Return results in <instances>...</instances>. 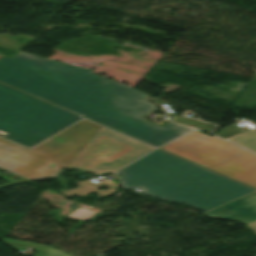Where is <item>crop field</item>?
I'll return each mask as SVG.
<instances>
[{
    "label": "crop field",
    "instance_id": "8",
    "mask_svg": "<svg viewBox=\"0 0 256 256\" xmlns=\"http://www.w3.org/2000/svg\"><path fill=\"white\" fill-rule=\"evenodd\" d=\"M207 217L236 221L245 225L256 221V191L208 210Z\"/></svg>",
    "mask_w": 256,
    "mask_h": 256
},
{
    "label": "crop field",
    "instance_id": "4",
    "mask_svg": "<svg viewBox=\"0 0 256 256\" xmlns=\"http://www.w3.org/2000/svg\"><path fill=\"white\" fill-rule=\"evenodd\" d=\"M81 118L0 84V136L3 138L32 147Z\"/></svg>",
    "mask_w": 256,
    "mask_h": 256
},
{
    "label": "crop field",
    "instance_id": "1",
    "mask_svg": "<svg viewBox=\"0 0 256 256\" xmlns=\"http://www.w3.org/2000/svg\"><path fill=\"white\" fill-rule=\"evenodd\" d=\"M91 71L23 52L11 60L0 58V82L155 147L191 129L147 121L144 116L159 109L145 101L147 94Z\"/></svg>",
    "mask_w": 256,
    "mask_h": 256
},
{
    "label": "crop field",
    "instance_id": "7",
    "mask_svg": "<svg viewBox=\"0 0 256 256\" xmlns=\"http://www.w3.org/2000/svg\"><path fill=\"white\" fill-rule=\"evenodd\" d=\"M101 134H103L107 137H110L114 140H117L119 142H122L126 145H129L135 149L118 157L117 159H115L114 161H112L110 163L102 162L87 171V172H90V173H93L96 175H99L103 172H112L113 173V172L117 171L118 169L122 168L123 166L127 165L128 163L132 162L133 160L139 158L140 156H142L145 153L154 149L148 145H145L141 142H138L134 139H131L127 136H124L122 134L116 133L114 131L108 130L103 127H101L99 129V131L88 142H92Z\"/></svg>",
    "mask_w": 256,
    "mask_h": 256
},
{
    "label": "crop field",
    "instance_id": "6",
    "mask_svg": "<svg viewBox=\"0 0 256 256\" xmlns=\"http://www.w3.org/2000/svg\"><path fill=\"white\" fill-rule=\"evenodd\" d=\"M131 149L101 135L92 143H86L67 167L86 171L102 161L110 162Z\"/></svg>",
    "mask_w": 256,
    "mask_h": 256
},
{
    "label": "crop field",
    "instance_id": "2",
    "mask_svg": "<svg viewBox=\"0 0 256 256\" xmlns=\"http://www.w3.org/2000/svg\"><path fill=\"white\" fill-rule=\"evenodd\" d=\"M116 174L123 176L124 187L203 211L255 191L159 149Z\"/></svg>",
    "mask_w": 256,
    "mask_h": 256
},
{
    "label": "crop field",
    "instance_id": "13",
    "mask_svg": "<svg viewBox=\"0 0 256 256\" xmlns=\"http://www.w3.org/2000/svg\"><path fill=\"white\" fill-rule=\"evenodd\" d=\"M3 55L0 54V57H2Z\"/></svg>",
    "mask_w": 256,
    "mask_h": 256
},
{
    "label": "crop field",
    "instance_id": "12",
    "mask_svg": "<svg viewBox=\"0 0 256 256\" xmlns=\"http://www.w3.org/2000/svg\"><path fill=\"white\" fill-rule=\"evenodd\" d=\"M248 226L256 232V222Z\"/></svg>",
    "mask_w": 256,
    "mask_h": 256
},
{
    "label": "crop field",
    "instance_id": "5",
    "mask_svg": "<svg viewBox=\"0 0 256 256\" xmlns=\"http://www.w3.org/2000/svg\"><path fill=\"white\" fill-rule=\"evenodd\" d=\"M221 140L192 131L160 148L256 188V155Z\"/></svg>",
    "mask_w": 256,
    "mask_h": 256
},
{
    "label": "crop field",
    "instance_id": "10",
    "mask_svg": "<svg viewBox=\"0 0 256 256\" xmlns=\"http://www.w3.org/2000/svg\"><path fill=\"white\" fill-rule=\"evenodd\" d=\"M229 140L256 152V130L231 138Z\"/></svg>",
    "mask_w": 256,
    "mask_h": 256
},
{
    "label": "crop field",
    "instance_id": "3",
    "mask_svg": "<svg viewBox=\"0 0 256 256\" xmlns=\"http://www.w3.org/2000/svg\"><path fill=\"white\" fill-rule=\"evenodd\" d=\"M99 128L81 120L31 150L0 139V168L29 180L57 177Z\"/></svg>",
    "mask_w": 256,
    "mask_h": 256
},
{
    "label": "crop field",
    "instance_id": "9",
    "mask_svg": "<svg viewBox=\"0 0 256 256\" xmlns=\"http://www.w3.org/2000/svg\"><path fill=\"white\" fill-rule=\"evenodd\" d=\"M55 180L58 181L61 184L59 192L66 198L73 197V196L82 197V196H85V195H89V193L94 192V191H96L99 198L100 197H107L111 194L116 193L115 190L117 189V187H115L113 185H110L106 182L96 184L93 181L88 180V181L78 183V185H79L78 189L65 191V190H63V188L65 187V185L63 183H65L66 180L61 179V178H56ZM102 186L108 187V190H106V191H97V188L102 187Z\"/></svg>",
    "mask_w": 256,
    "mask_h": 256
},
{
    "label": "crop field",
    "instance_id": "11",
    "mask_svg": "<svg viewBox=\"0 0 256 256\" xmlns=\"http://www.w3.org/2000/svg\"><path fill=\"white\" fill-rule=\"evenodd\" d=\"M238 127H239V126L235 124V125H233V126L227 128V129L221 131L219 134H217V136H220V137H223V138L226 139V138H229V137L234 136V135H236V134H239V133H241V132L235 130V129L238 128Z\"/></svg>",
    "mask_w": 256,
    "mask_h": 256
}]
</instances>
